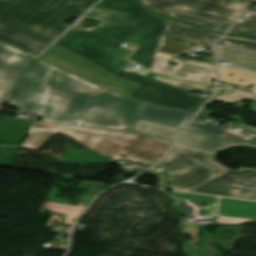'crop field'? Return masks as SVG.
<instances>
[{
  "label": "crop field",
  "instance_id": "obj_18",
  "mask_svg": "<svg viewBox=\"0 0 256 256\" xmlns=\"http://www.w3.org/2000/svg\"><path fill=\"white\" fill-rule=\"evenodd\" d=\"M164 32L215 42L220 36L212 31L168 18Z\"/></svg>",
  "mask_w": 256,
  "mask_h": 256
},
{
  "label": "crop field",
  "instance_id": "obj_27",
  "mask_svg": "<svg viewBox=\"0 0 256 256\" xmlns=\"http://www.w3.org/2000/svg\"><path fill=\"white\" fill-rule=\"evenodd\" d=\"M221 44L246 48V49H252L256 50V43L246 41V40H236V39H230V38H224L220 41Z\"/></svg>",
  "mask_w": 256,
  "mask_h": 256
},
{
  "label": "crop field",
  "instance_id": "obj_28",
  "mask_svg": "<svg viewBox=\"0 0 256 256\" xmlns=\"http://www.w3.org/2000/svg\"><path fill=\"white\" fill-rule=\"evenodd\" d=\"M229 33L247 37V38L256 39V29L255 28H249V27L235 25V27Z\"/></svg>",
  "mask_w": 256,
  "mask_h": 256
},
{
  "label": "crop field",
  "instance_id": "obj_32",
  "mask_svg": "<svg viewBox=\"0 0 256 256\" xmlns=\"http://www.w3.org/2000/svg\"><path fill=\"white\" fill-rule=\"evenodd\" d=\"M54 220H57L59 223L63 222L62 220L59 219V217L51 215L50 220L48 221L46 227L49 228L50 225L54 222Z\"/></svg>",
  "mask_w": 256,
  "mask_h": 256
},
{
  "label": "crop field",
  "instance_id": "obj_30",
  "mask_svg": "<svg viewBox=\"0 0 256 256\" xmlns=\"http://www.w3.org/2000/svg\"><path fill=\"white\" fill-rule=\"evenodd\" d=\"M187 225H186L187 227L184 228L183 232L190 234L191 237L193 238L192 242H196V240H198V237H199V235H196V233H198L197 227L200 224L192 225V224L187 223Z\"/></svg>",
  "mask_w": 256,
  "mask_h": 256
},
{
  "label": "crop field",
  "instance_id": "obj_9",
  "mask_svg": "<svg viewBox=\"0 0 256 256\" xmlns=\"http://www.w3.org/2000/svg\"><path fill=\"white\" fill-rule=\"evenodd\" d=\"M160 57L162 59H159ZM168 61L176 62L179 66L169 65ZM151 70L205 82H210V78L215 77V68L212 64L160 53L156 54Z\"/></svg>",
  "mask_w": 256,
  "mask_h": 256
},
{
  "label": "crop field",
  "instance_id": "obj_25",
  "mask_svg": "<svg viewBox=\"0 0 256 256\" xmlns=\"http://www.w3.org/2000/svg\"><path fill=\"white\" fill-rule=\"evenodd\" d=\"M143 5L160 14L167 15L171 0H141Z\"/></svg>",
  "mask_w": 256,
  "mask_h": 256
},
{
  "label": "crop field",
  "instance_id": "obj_15",
  "mask_svg": "<svg viewBox=\"0 0 256 256\" xmlns=\"http://www.w3.org/2000/svg\"><path fill=\"white\" fill-rule=\"evenodd\" d=\"M218 60H225L228 66L256 72V51L226 45H217Z\"/></svg>",
  "mask_w": 256,
  "mask_h": 256
},
{
  "label": "crop field",
  "instance_id": "obj_16",
  "mask_svg": "<svg viewBox=\"0 0 256 256\" xmlns=\"http://www.w3.org/2000/svg\"><path fill=\"white\" fill-rule=\"evenodd\" d=\"M212 45V42L163 33L158 52L178 56L181 52L194 50L196 46L212 48Z\"/></svg>",
  "mask_w": 256,
  "mask_h": 256
},
{
  "label": "crop field",
  "instance_id": "obj_38",
  "mask_svg": "<svg viewBox=\"0 0 256 256\" xmlns=\"http://www.w3.org/2000/svg\"><path fill=\"white\" fill-rule=\"evenodd\" d=\"M253 1H256V0H253Z\"/></svg>",
  "mask_w": 256,
  "mask_h": 256
},
{
  "label": "crop field",
  "instance_id": "obj_2",
  "mask_svg": "<svg viewBox=\"0 0 256 256\" xmlns=\"http://www.w3.org/2000/svg\"><path fill=\"white\" fill-rule=\"evenodd\" d=\"M6 102L40 114L42 120L118 130L133 126L140 104L31 56Z\"/></svg>",
  "mask_w": 256,
  "mask_h": 256
},
{
  "label": "crop field",
  "instance_id": "obj_17",
  "mask_svg": "<svg viewBox=\"0 0 256 256\" xmlns=\"http://www.w3.org/2000/svg\"><path fill=\"white\" fill-rule=\"evenodd\" d=\"M179 142L191 144L199 147H205L212 150H220V149H225V148L234 147L238 145H245V146L256 148V146H253V145L244 144V143L227 140L219 137H214V136L197 133L189 130L185 131V133L180 138Z\"/></svg>",
  "mask_w": 256,
  "mask_h": 256
},
{
  "label": "crop field",
  "instance_id": "obj_7",
  "mask_svg": "<svg viewBox=\"0 0 256 256\" xmlns=\"http://www.w3.org/2000/svg\"><path fill=\"white\" fill-rule=\"evenodd\" d=\"M243 5L238 0H172L169 10L232 23Z\"/></svg>",
  "mask_w": 256,
  "mask_h": 256
},
{
  "label": "crop field",
  "instance_id": "obj_23",
  "mask_svg": "<svg viewBox=\"0 0 256 256\" xmlns=\"http://www.w3.org/2000/svg\"><path fill=\"white\" fill-rule=\"evenodd\" d=\"M169 16H172V17H175V18H178L181 20L189 21L192 23H196V24L216 30L221 33H223L226 30V28L230 25L229 23L218 22V21H213V20H208V19H202V18L182 15V14H178V13H173V12H170Z\"/></svg>",
  "mask_w": 256,
  "mask_h": 256
},
{
  "label": "crop field",
  "instance_id": "obj_22",
  "mask_svg": "<svg viewBox=\"0 0 256 256\" xmlns=\"http://www.w3.org/2000/svg\"><path fill=\"white\" fill-rule=\"evenodd\" d=\"M214 99L230 102H240L242 99H248L255 101L253 105L256 106V94L235 90L223 86H219Z\"/></svg>",
  "mask_w": 256,
  "mask_h": 256
},
{
  "label": "crop field",
  "instance_id": "obj_21",
  "mask_svg": "<svg viewBox=\"0 0 256 256\" xmlns=\"http://www.w3.org/2000/svg\"><path fill=\"white\" fill-rule=\"evenodd\" d=\"M219 68H220V80L222 81H226L234 84H241L244 86H247L249 83L256 84V73L244 72V71L230 69L222 66H219ZM229 73L234 74L235 76L233 77L228 76ZM241 79H243L244 81L240 82ZM252 90L256 92V85L253 87Z\"/></svg>",
  "mask_w": 256,
  "mask_h": 256
},
{
  "label": "crop field",
  "instance_id": "obj_19",
  "mask_svg": "<svg viewBox=\"0 0 256 256\" xmlns=\"http://www.w3.org/2000/svg\"><path fill=\"white\" fill-rule=\"evenodd\" d=\"M133 131L175 141L181 129L137 119Z\"/></svg>",
  "mask_w": 256,
  "mask_h": 256
},
{
  "label": "crop field",
  "instance_id": "obj_14",
  "mask_svg": "<svg viewBox=\"0 0 256 256\" xmlns=\"http://www.w3.org/2000/svg\"><path fill=\"white\" fill-rule=\"evenodd\" d=\"M187 129L256 145V129L244 125L232 130L194 119Z\"/></svg>",
  "mask_w": 256,
  "mask_h": 256
},
{
  "label": "crop field",
  "instance_id": "obj_24",
  "mask_svg": "<svg viewBox=\"0 0 256 256\" xmlns=\"http://www.w3.org/2000/svg\"><path fill=\"white\" fill-rule=\"evenodd\" d=\"M44 208L55 210L59 212H63L67 214L66 219L64 221V224H73L71 220L73 218L77 217L80 212L83 211L85 207H79V206H68V205H62V204H56V203H50L47 202V204L44 206Z\"/></svg>",
  "mask_w": 256,
  "mask_h": 256
},
{
  "label": "crop field",
  "instance_id": "obj_5",
  "mask_svg": "<svg viewBox=\"0 0 256 256\" xmlns=\"http://www.w3.org/2000/svg\"><path fill=\"white\" fill-rule=\"evenodd\" d=\"M217 152L177 144L158 166L159 187L193 191L230 170L214 162Z\"/></svg>",
  "mask_w": 256,
  "mask_h": 256
},
{
  "label": "crop field",
  "instance_id": "obj_8",
  "mask_svg": "<svg viewBox=\"0 0 256 256\" xmlns=\"http://www.w3.org/2000/svg\"><path fill=\"white\" fill-rule=\"evenodd\" d=\"M197 192L256 200V170L241 169L196 189Z\"/></svg>",
  "mask_w": 256,
  "mask_h": 256
},
{
  "label": "crop field",
  "instance_id": "obj_13",
  "mask_svg": "<svg viewBox=\"0 0 256 256\" xmlns=\"http://www.w3.org/2000/svg\"><path fill=\"white\" fill-rule=\"evenodd\" d=\"M193 115L178 109L161 108L143 102L138 118L183 128Z\"/></svg>",
  "mask_w": 256,
  "mask_h": 256
},
{
  "label": "crop field",
  "instance_id": "obj_11",
  "mask_svg": "<svg viewBox=\"0 0 256 256\" xmlns=\"http://www.w3.org/2000/svg\"><path fill=\"white\" fill-rule=\"evenodd\" d=\"M25 54L0 43V102H4L27 56Z\"/></svg>",
  "mask_w": 256,
  "mask_h": 256
},
{
  "label": "crop field",
  "instance_id": "obj_31",
  "mask_svg": "<svg viewBox=\"0 0 256 256\" xmlns=\"http://www.w3.org/2000/svg\"><path fill=\"white\" fill-rule=\"evenodd\" d=\"M18 0H0V11L12 4H14L15 2H17Z\"/></svg>",
  "mask_w": 256,
  "mask_h": 256
},
{
  "label": "crop field",
  "instance_id": "obj_26",
  "mask_svg": "<svg viewBox=\"0 0 256 256\" xmlns=\"http://www.w3.org/2000/svg\"><path fill=\"white\" fill-rule=\"evenodd\" d=\"M173 194L175 197L181 198V199H195L203 202H212V203H217V197H212V196H204V195H199V194H192V193H184V192H177L173 191Z\"/></svg>",
  "mask_w": 256,
  "mask_h": 256
},
{
  "label": "crop field",
  "instance_id": "obj_4",
  "mask_svg": "<svg viewBox=\"0 0 256 256\" xmlns=\"http://www.w3.org/2000/svg\"><path fill=\"white\" fill-rule=\"evenodd\" d=\"M97 0H19L0 12V20L53 42Z\"/></svg>",
  "mask_w": 256,
  "mask_h": 256
},
{
  "label": "crop field",
  "instance_id": "obj_6",
  "mask_svg": "<svg viewBox=\"0 0 256 256\" xmlns=\"http://www.w3.org/2000/svg\"><path fill=\"white\" fill-rule=\"evenodd\" d=\"M39 59L91 82L101 88L128 95L137 85L115 78L89 61L52 45Z\"/></svg>",
  "mask_w": 256,
  "mask_h": 256
},
{
  "label": "crop field",
  "instance_id": "obj_34",
  "mask_svg": "<svg viewBox=\"0 0 256 256\" xmlns=\"http://www.w3.org/2000/svg\"><path fill=\"white\" fill-rule=\"evenodd\" d=\"M205 209L210 212V216L216 213V205Z\"/></svg>",
  "mask_w": 256,
  "mask_h": 256
},
{
  "label": "crop field",
  "instance_id": "obj_35",
  "mask_svg": "<svg viewBox=\"0 0 256 256\" xmlns=\"http://www.w3.org/2000/svg\"><path fill=\"white\" fill-rule=\"evenodd\" d=\"M216 111H211V110H206V109H202V111L200 113L202 114H207V115H211L213 113H215Z\"/></svg>",
  "mask_w": 256,
  "mask_h": 256
},
{
  "label": "crop field",
  "instance_id": "obj_20",
  "mask_svg": "<svg viewBox=\"0 0 256 256\" xmlns=\"http://www.w3.org/2000/svg\"><path fill=\"white\" fill-rule=\"evenodd\" d=\"M150 77L179 88H184V89H189V90H194V91H199V92H204L209 94H212L214 89V85L212 84H207L203 82L188 80L184 78H179V77H174V76H169V75H164V74H159L154 72H151Z\"/></svg>",
  "mask_w": 256,
  "mask_h": 256
},
{
  "label": "crop field",
  "instance_id": "obj_33",
  "mask_svg": "<svg viewBox=\"0 0 256 256\" xmlns=\"http://www.w3.org/2000/svg\"><path fill=\"white\" fill-rule=\"evenodd\" d=\"M229 119L236 120V121H238V123L245 124V122L243 121V119L241 118L240 115H234V116L230 117Z\"/></svg>",
  "mask_w": 256,
  "mask_h": 256
},
{
  "label": "crop field",
  "instance_id": "obj_37",
  "mask_svg": "<svg viewBox=\"0 0 256 256\" xmlns=\"http://www.w3.org/2000/svg\"><path fill=\"white\" fill-rule=\"evenodd\" d=\"M254 109V111H256V108H253Z\"/></svg>",
  "mask_w": 256,
  "mask_h": 256
},
{
  "label": "crop field",
  "instance_id": "obj_3",
  "mask_svg": "<svg viewBox=\"0 0 256 256\" xmlns=\"http://www.w3.org/2000/svg\"><path fill=\"white\" fill-rule=\"evenodd\" d=\"M56 132L68 134L104 156L130 152L129 160L149 165L154 164L172 144L134 133L33 121L28 131L30 136L21 146L38 149Z\"/></svg>",
  "mask_w": 256,
  "mask_h": 256
},
{
  "label": "crop field",
  "instance_id": "obj_12",
  "mask_svg": "<svg viewBox=\"0 0 256 256\" xmlns=\"http://www.w3.org/2000/svg\"><path fill=\"white\" fill-rule=\"evenodd\" d=\"M215 222L235 225L256 222V202L222 198L221 215Z\"/></svg>",
  "mask_w": 256,
  "mask_h": 256
},
{
  "label": "crop field",
  "instance_id": "obj_10",
  "mask_svg": "<svg viewBox=\"0 0 256 256\" xmlns=\"http://www.w3.org/2000/svg\"><path fill=\"white\" fill-rule=\"evenodd\" d=\"M0 42L23 53L39 55L51 42L42 40L8 24L0 23Z\"/></svg>",
  "mask_w": 256,
  "mask_h": 256
},
{
  "label": "crop field",
  "instance_id": "obj_36",
  "mask_svg": "<svg viewBox=\"0 0 256 256\" xmlns=\"http://www.w3.org/2000/svg\"><path fill=\"white\" fill-rule=\"evenodd\" d=\"M133 44H127L125 47H127L128 49H131V50H134L135 51V48H136V46L134 45V46H132ZM127 60H128V58H127Z\"/></svg>",
  "mask_w": 256,
  "mask_h": 256
},
{
  "label": "crop field",
  "instance_id": "obj_1",
  "mask_svg": "<svg viewBox=\"0 0 256 256\" xmlns=\"http://www.w3.org/2000/svg\"><path fill=\"white\" fill-rule=\"evenodd\" d=\"M84 17L99 19L101 23L93 30L72 26L55 43L93 61L112 75L140 84L129 97L193 113L203 105L204 100L194 99L182 89L148 78L150 71L146 69L133 71L132 62L126 60L132 51L121 45L134 43L137 49L129 59L151 68L165 17L150 13L136 0H101ZM122 67L131 71L126 72Z\"/></svg>",
  "mask_w": 256,
  "mask_h": 256
},
{
  "label": "crop field",
  "instance_id": "obj_29",
  "mask_svg": "<svg viewBox=\"0 0 256 256\" xmlns=\"http://www.w3.org/2000/svg\"><path fill=\"white\" fill-rule=\"evenodd\" d=\"M244 13L248 15L246 17H240L236 24L256 28V11L245 9Z\"/></svg>",
  "mask_w": 256,
  "mask_h": 256
}]
</instances>
